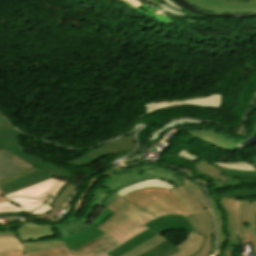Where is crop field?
I'll return each mask as SVG.
<instances>
[{
	"label": "crop field",
	"instance_id": "crop-field-21",
	"mask_svg": "<svg viewBox=\"0 0 256 256\" xmlns=\"http://www.w3.org/2000/svg\"><path fill=\"white\" fill-rule=\"evenodd\" d=\"M197 180H199V179H197ZM199 181L206 185L207 190L209 192V188L207 186V182L206 181H202V180H199ZM209 195H210V192H209ZM210 202H211V205H212L215 217L217 219V224H218V245H217V255H218L220 250H221V248H222V246L225 244L227 238H226V236H225V234L223 232V215H222V212L218 208L216 202L212 199L211 195H210Z\"/></svg>",
	"mask_w": 256,
	"mask_h": 256
},
{
	"label": "crop field",
	"instance_id": "crop-field-5",
	"mask_svg": "<svg viewBox=\"0 0 256 256\" xmlns=\"http://www.w3.org/2000/svg\"><path fill=\"white\" fill-rule=\"evenodd\" d=\"M15 231L23 245L24 253L64 245L53 226H40L24 222L23 227L17 228Z\"/></svg>",
	"mask_w": 256,
	"mask_h": 256
},
{
	"label": "crop field",
	"instance_id": "crop-field-35",
	"mask_svg": "<svg viewBox=\"0 0 256 256\" xmlns=\"http://www.w3.org/2000/svg\"><path fill=\"white\" fill-rule=\"evenodd\" d=\"M11 250H23L21 245H0V252Z\"/></svg>",
	"mask_w": 256,
	"mask_h": 256
},
{
	"label": "crop field",
	"instance_id": "crop-field-39",
	"mask_svg": "<svg viewBox=\"0 0 256 256\" xmlns=\"http://www.w3.org/2000/svg\"><path fill=\"white\" fill-rule=\"evenodd\" d=\"M163 2H164L166 5H168V6L172 7V8H174V9H177V10H179V11L182 9V7H180L179 5H177L176 3H174L172 0H163Z\"/></svg>",
	"mask_w": 256,
	"mask_h": 256
},
{
	"label": "crop field",
	"instance_id": "crop-field-38",
	"mask_svg": "<svg viewBox=\"0 0 256 256\" xmlns=\"http://www.w3.org/2000/svg\"><path fill=\"white\" fill-rule=\"evenodd\" d=\"M87 178H88V177H87ZM85 181H86V180H85ZM85 181H84V183H85ZM84 183L81 185V187L78 189V191L76 192V194L73 196V198H72L71 201L69 202L70 207H69L67 213L64 214V217H66V215H67L68 213H70L71 205H72V203L74 202V200L78 197V195H79V193H80V191H81V189H82ZM66 208H67V207H66Z\"/></svg>",
	"mask_w": 256,
	"mask_h": 256
},
{
	"label": "crop field",
	"instance_id": "crop-field-24",
	"mask_svg": "<svg viewBox=\"0 0 256 256\" xmlns=\"http://www.w3.org/2000/svg\"><path fill=\"white\" fill-rule=\"evenodd\" d=\"M163 241H165V239L158 235L157 237L146 242L145 244L141 245L140 247L134 249L133 251L129 252L128 254H126L124 256H139L142 253L146 252L147 250L153 248L154 246L158 245L159 243H161Z\"/></svg>",
	"mask_w": 256,
	"mask_h": 256
},
{
	"label": "crop field",
	"instance_id": "crop-field-28",
	"mask_svg": "<svg viewBox=\"0 0 256 256\" xmlns=\"http://www.w3.org/2000/svg\"><path fill=\"white\" fill-rule=\"evenodd\" d=\"M22 133L16 131L14 128L0 127V137L16 140L18 145V138Z\"/></svg>",
	"mask_w": 256,
	"mask_h": 256
},
{
	"label": "crop field",
	"instance_id": "crop-field-44",
	"mask_svg": "<svg viewBox=\"0 0 256 256\" xmlns=\"http://www.w3.org/2000/svg\"><path fill=\"white\" fill-rule=\"evenodd\" d=\"M0 202H7V200H5L3 196H0Z\"/></svg>",
	"mask_w": 256,
	"mask_h": 256
},
{
	"label": "crop field",
	"instance_id": "crop-field-33",
	"mask_svg": "<svg viewBox=\"0 0 256 256\" xmlns=\"http://www.w3.org/2000/svg\"><path fill=\"white\" fill-rule=\"evenodd\" d=\"M112 1V0H111ZM126 7H128L130 10L136 8L137 6L143 4L139 0H120Z\"/></svg>",
	"mask_w": 256,
	"mask_h": 256
},
{
	"label": "crop field",
	"instance_id": "crop-field-31",
	"mask_svg": "<svg viewBox=\"0 0 256 256\" xmlns=\"http://www.w3.org/2000/svg\"><path fill=\"white\" fill-rule=\"evenodd\" d=\"M177 156H179V157H181V158H183V159H185V160H187V161H189L191 163H193L194 161H196L198 159H201L200 157H198V156H196V155H194V154H192V153H190V152H188V151H186L184 149H182L177 154Z\"/></svg>",
	"mask_w": 256,
	"mask_h": 256
},
{
	"label": "crop field",
	"instance_id": "crop-field-8",
	"mask_svg": "<svg viewBox=\"0 0 256 256\" xmlns=\"http://www.w3.org/2000/svg\"><path fill=\"white\" fill-rule=\"evenodd\" d=\"M191 6L210 13L251 14L256 12V0L251 4L236 3V0H185Z\"/></svg>",
	"mask_w": 256,
	"mask_h": 256
},
{
	"label": "crop field",
	"instance_id": "crop-field-17",
	"mask_svg": "<svg viewBox=\"0 0 256 256\" xmlns=\"http://www.w3.org/2000/svg\"><path fill=\"white\" fill-rule=\"evenodd\" d=\"M158 234L146 229L139 233L138 235L134 236L130 240L123 243L121 246L115 248L114 250L106 253L109 256H123L124 254L128 253L129 251L133 250L134 248L140 246L141 244L145 243L146 241L152 239L153 237L157 236ZM141 241V243H139Z\"/></svg>",
	"mask_w": 256,
	"mask_h": 256
},
{
	"label": "crop field",
	"instance_id": "crop-field-45",
	"mask_svg": "<svg viewBox=\"0 0 256 256\" xmlns=\"http://www.w3.org/2000/svg\"><path fill=\"white\" fill-rule=\"evenodd\" d=\"M252 165L256 168V163H253Z\"/></svg>",
	"mask_w": 256,
	"mask_h": 256
},
{
	"label": "crop field",
	"instance_id": "crop-field-11",
	"mask_svg": "<svg viewBox=\"0 0 256 256\" xmlns=\"http://www.w3.org/2000/svg\"><path fill=\"white\" fill-rule=\"evenodd\" d=\"M117 244L119 243L103 234L70 250V253L73 256H106L104 254Z\"/></svg>",
	"mask_w": 256,
	"mask_h": 256
},
{
	"label": "crop field",
	"instance_id": "crop-field-29",
	"mask_svg": "<svg viewBox=\"0 0 256 256\" xmlns=\"http://www.w3.org/2000/svg\"><path fill=\"white\" fill-rule=\"evenodd\" d=\"M219 168V167H217ZM224 174L228 177L239 178V176L245 177H256V172H247V171H237V170H227L224 168H219Z\"/></svg>",
	"mask_w": 256,
	"mask_h": 256
},
{
	"label": "crop field",
	"instance_id": "crop-field-19",
	"mask_svg": "<svg viewBox=\"0 0 256 256\" xmlns=\"http://www.w3.org/2000/svg\"><path fill=\"white\" fill-rule=\"evenodd\" d=\"M77 185L68 183L63 190L56 196L51 206L53 209L45 215H36L35 219H50L56 216V212L61 210L64 204L67 202L71 194L75 191Z\"/></svg>",
	"mask_w": 256,
	"mask_h": 256
},
{
	"label": "crop field",
	"instance_id": "crop-field-16",
	"mask_svg": "<svg viewBox=\"0 0 256 256\" xmlns=\"http://www.w3.org/2000/svg\"><path fill=\"white\" fill-rule=\"evenodd\" d=\"M47 199L48 198L43 200H32L23 197L7 199L9 202L0 203V212H28L43 204Z\"/></svg>",
	"mask_w": 256,
	"mask_h": 256
},
{
	"label": "crop field",
	"instance_id": "crop-field-23",
	"mask_svg": "<svg viewBox=\"0 0 256 256\" xmlns=\"http://www.w3.org/2000/svg\"><path fill=\"white\" fill-rule=\"evenodd\" d=\"M180 250L176 249L171 243L167 240L160 245L154 247L148 252L142 254L141 256H170Z\"/></svg>",
	"mask_w": 256,
	"mask_h": 256
},
{
	"label": "crop field",
	"instance_id": "crop-field-36",
	"mask_svg": "<svg viewBox=\"0 0 256 256\" xmlns=\"http://www.w3.org/2000/svg\"><path fill=\"white\" fill-rule=\"evenodd\" d=\"M241 184H245V183H242L240 181V179L229 178L227 180V182L225 183V185L223 184L224 186L221 187V188H224V187H227V186H236V185H241Z\"/></svg>",
	"mask_w": 256,
	"mask_h": 256
},
{
	"label": "crop field",
	"instance_id": "crop-field-7",
	"mask_svg": "<svg viewBox=\"0 0 256 256\" xmlns=\"http://www.w3.org/2000/svg\"><path fill=\"white\" fill-rule=\"evenodd\" d=\"M169 191L187 208L191 214L209 210L204 192L191 180Z\"/></svg>",
	"mask_w": 256,
	"mask_h": 256
},
{
	"label": "crop field",
	"instance_id": "crop-field-2",
	"mask_svg": "<svg viewBox=\"0 0 256 256\" xmlns=\"http://www.w3.org/2000/svg\"><path fill=\"white\" fill-rule=\"evenodd\" d=\"M256 196V189L239 190L224 193L219 197V203L227 212L228 240L233 245H241L244 240L253 242L256 254V201H239L236 198Z\"/></svg>",
	"mask_w": 256,
	"mask_h": 256
},
{
	"label": "crop field",
	"instance_id": "crop-field-12",
	"mask_svg": "<svg viewBox=\"0 0 256 256\" xmlns=\"http://www.w3.org/2000/svg\"><path fill=\"white\" fill-rule=\"evenodd\" d=\"M148 229L155 231L157 233H164L169 230H184L193 232L192 227L189 222L182 215H168L160 218H156L153 221H150L144 224Z\"/></svg>",
	"mask_w": 256,
	"mask_h": 256
},
{
	"label": "crop field",
	"instance_id": "crop-field-37",
	"mask_svg": "<svg viewBox=\"0 0 256 256\" xmlns=\"http://www.w3.org/2000/svg\"><path fill=\"white\" fill-rule=\"evenodd\" d=\"M232 246V245H231ZM230 244H227V247L225 250H222L219 256H232L233 253V247H231Z\"/></svg>",
	"mask_w": 256,
	"mask_h": 256
},
{
	"label": "crop field",
	"instance_id": "crop-field-40",
	"mask_svg": "<svg viewBox=\"0 0 256 256\" xmlns=\"http://www.w3.org/2000/svg\"><path fill=\"white\" fill-rule=\"evenodd\" d=\"M23 251H11V252H3L0 253V256H12V255H18L22 254Z\"/></svg>",
	"mask_w": 256,
	"mask_h": 256
},
{
	"label": "crop field",
	"instance_id": "crop-field-20",
	"mask_svg": "<svg viewBox=\"0 0 256 256\" xmlns=\"http://www.w3.org/2000/svg\"><path fill=\"white\" fill-rule=\"evenodd\" d=\"M103 234L102 232L96 230L95 228L88 227L72 236H69L65 239H63L64 244L67 246L68 250L86 242L89 241L99 235Z\"/></svg>",
	"mask_w": 256,
	"mask_h": 256
},
{
	"label": "crop field",
	"instance_id": "crop-field-22",
	"mask_svg": "<svg viewBox=\"0 0 256 256\" xmlns=\"http://www.w3.org/2000/svg\"><path fill=\"white\" fill-rule=\"evenodd\" d=\"M54 227L62 239L85 227H88V225L78 219L70 217L69 220L66 221V223Z\"/></svg>",
	"mask_w": 256,
	"mask_h": 256
},
{
	"label": "crop field",
	"instance_id": "crop-field-14",
	"mask_svg": "<svg viewBox=\"0 0 256 256\" xmlns=\"http://www.w3.org/2000/svg\"><path fill=\"white\" fill-rule=\"evenodd\" d=\"M192 172L196 175V177H203L205 179L214 181V191L219 190L221 186L226 182L227 176H225L220 170H218L215 166L209 165L203 160L193 164Z\"/></svg>",
	"mask_w": 256,
	"mask_h": 256
},
{
	"label": "crop field",
	"instance_id": "crop-field-30",
	"mask_svg": "<svg viewBox=\"0 0 256 256\" xmlns=\"http://www.w3.org/2000/svg\"><path fill=\"white\" fill-rule=\"evenodd\" d=\"M37 170H39V169L32 167V168H30V169H28V170H25V171H23V172H21V173H19V174H16V175H14V176H12V177H9V178H7V179L1 180V181H0V185L6 184V183H8V182H11V181H13V180H15V179H18V178H20V177H23V176H25V175H28V174H30V173H33V172H35V171H37Z\"/></svg>",
	"mask_w": 256,
	"mask_h": 256
},
{
	"label": "crop field",
	"instance_id": "crop-field-10",
	"mask_svg": "<svg viewBox=\"0 0 256 256\" xmlns=\"http://www.w3.org/2000/svg\"><path fill=\"white\" fill-rule=\"evenodd\" d=\"M196 233L205 235V243L202 248L193 256H208L212 254L213 227L209 211L186 216ZM185 218V219H186Z\"/></svg>",
	"mask_w": 256,
	"mask_h": 256
},
{
	"label": "crop field",
	"instance_id": "crop-field-1",
	"mask_svg": "<svg viewBox=\"0 0 256 256\" xmlns=\"http://www.w3.org/2000/svg\"><path fill=\"white\" fill-rule=\"evenodd\" d=\"M148 169H150V171H148ZM139 170H143L144 174L139 176ZM103 177H108V180L104 182L101 186L104 187L109 192L105 193L101 189L95 192L94 202L92 201V206L82 219V221L84 222L87 221V219L90 217V215L93 213V211L96 209L98 205L107 208L116 195L115 193L111 192L116 191L117 189L125 185L148 178H158L166 180L176 186L190 180L171 169L151 166H140L130 169H124L120 168L119 165H117L114 168L109 169L108 172L100 174L91 180V182L88 185V189L75 204V212H73L72 214L73 217H77L84 203L83 201L93 191V189L97 186V184L101 181Z\"/></svg>",
	"mask_w": 256,
	"mask_h": 256
},
{
	"label": "crop field",
	"instance_id": "crop-field-9",
	"mask_svg": "<svg viewBox=\"0 0 256 256\" xmlns=\"http://www.w3.org/2000/svg\"><path fill=\"white\" fill-rule=\"evenodd\" d=\"M0 148H3L5 150H8V151L14 153V155L26 160L31 165L47 172L48 174H50L52 176L63 177V178H72L73 177L71 172H67V171L60 169L52 164L45 163L42 160L23 152L18 147L16 141L0 138Z\"/></svg>",
	"mask_w": 256,
	"mask_h": 256
},
{
	"label": "crop field",
	"instance_id": "crop-field-46",
	"mask_svg": "<svg viewBox=\"0 0 256 256\" xmlns=\"http://www.w3.org/2000/svg\"><path fill=\"white\" fill-rule=\"evenodd\" d=\"M1 195V194H0Z\"/></svg>",
	"mask_w": 256,
	"mask_h": 256
},
{
	"label": "crop field",
	"instance_id": "crop-field-41",
	"mask_svg": "<svg viewBox=\"0 0 256 256\" xmlns=\"http://www.w3.org/2000/svg\"><path fill=\"white\" fill-rule=\"evenodd\" d=\"M0 126L11 127L1 115H0Z\"/></svg>",
	"mask_w": 256,
	"mask_h": 256
},
{
	"label": "crop field",
	"instance_id": "crop-field-3",
	"mask_svg": "<svg viewBox=\"0 0 256 256\" xmlns=\"http://www.w3.org/2000/svg\"><path fill=\"white\" fill-rule=\"evenodd\" d=\"M108 208L116 212L97 228L120 243L145 229L142 225L154 219L118 196L115 197Z\"/></svg>",
	"mask_w": 256,
	"mask_h": 256
},
{
	"label": "crop field",
	"instance_id": "crop-field-13",
	"mask_svg": "<svg viewBox=\"0 0 256 256\" xmlns=\"http://www.w3.org/2000/svg\"><path fill=\"white\" fill-rule=\"evenodd\" d=\"M32 167L3 149L0 150V180Z\"/></svg>",
	"mask_w": 256,
	"mask_h": 256
},
{
	"label": "crop field",
	"instance_id": "crop-field-18",
	"mask_svg": "<svg viewBox=\"0 0 256 256\" xmlns=\"http://www.w3.org/2000/svg\"><path fill=\"white\" fill-rule=\"evenodd\" d=\"M204 236L188 233L185 240L175 246L181 251L172 256H191L195 254L203 245Z\"/></svg>",
	"mask_w": 256,
	"mask_h": 256
},
{
	"label": "crop field",
	"instance_id": "crop-field-25",
	"mask_svg": "<svg viewBox=\"0 0 256 256\" xmlns=\"http://www.w3.org/2000/svg\"><path fill=\"white\" fill-rule=\"evenodd\" d=\"M19 256H71L70 253L67 251L66 247H58L48 250H43L31 254H23Z\"/></svg>",
	"mask_w": 256,
	"mask_h": 256
},
{
	"label": "crop field",
	"instance_id": "crop-field-42",
	"mask_svg": "<svg viewBox=\"0 0 256 256\" xmlns=\"http://www.w3.org/2000/svg\"><path fill=\"white\" fill-rule=\"evenodd\" d=\"M59 221H62V219H60V218H57V219L51 220V221H49V222H46V223H51V222H59Z\"/></svg>",
	"mask_w": 256,
	"mask_h": 256
},
{
	"label": "crop field",
	"instance_id": "crop-field-32",
	"mask_svg": "<svg viewBox=\"0 0 256 256\" xmlns=\"http://www.w3.org/2000/svg\"><path fill=\"white\" fill-rule=\"evenodd\" d=\"M113 213L114 211L110 209H105L104 212L99 216V218L94 222L92 226L96 228L99 224H101L105 219H107Z\"/></svg>",
	"mask_w": 256,
	"mask_h": 256
},
{
	"label": "crop field",
	"instance_id": "crop-field-15",
	"mask_svg": "<svg viewBox=\"0 0 256 256\" xmlns=\"http://www.w3.org/2000/svg\"><path fill=\"white\" fill-rule=\"evenodd\" d=\"M50 177H52V176L39 170L34 174H30V175L20 178L16 181H13L6 185L0 186V190L4 195H6L9 193L21 190L23 188H26L28 186L34 185L36 183H39L41 181H44Z\"/></svg>",
	"mask_w": 256,
	"mask_h": 256
},
{
	"label": "crop field",
	"instance_id": "crop-field-26",
	"mask_svg": "<svg viewBox=\"0 0 256 256\" xmlns=\"http://www.w3.org/2000/svg\"><path fill=\"white\" fill-rule=\"evenodd\" d=\"M134 10L138 11V12L141 13L142 15H144V16H146V17H148V18H150V19H152V20H154V21H157V22H159V23H163V24L170 25V24H168L169 21H170V22L172 21L173 23L175 22L174 20L167 19V18H165V17H163V16H159V15H157V14L151 12V9L148 8L147 6H145L144 4L141 5V6H139V7H137V8L134 9ZM172 25H173V24H172ZM172 25H171V26H172Z\"/></svg>",
	"mask_w": 256,
	"mask_h": 256
},
{
	"label": "crop field",
	"instance_id": "crop-field-4",
	"mask_svg": "<svg viewBox=\"0 0 256 256\" xmlns=\"http://www.w3.org/2000/svg\"><path fill=\"white\" fill-rule=\"evenodd\" d=\"M126 199L153 216L167 214L190 215L186 208L169 192L162 189H143L127 195Z\"/></svg>",
	"mask_w": 256,
	"mask_h": 256
},
{
	"label": "crop field",
	"instance_id": "crop-field-34",
	"mask_svg": "<svg viewBox=\"0 0 256 256\" xmlns=\"http://www.w3.org/2000/svg\"><path fill=\"white\" fill-rule=\"evenodd\" d=\"M0 244H20L17 237H3L0 238Z\"/></svg>",
	"mask_w": 256,
	"mask_h": 256
},
{
	"label": "crop field",
	"instance_id": "crop-field-43",
	"mask_svg": "<svg viewBox=\"0 0 256 256\" xmlns=\"http://www.w3.org/2000/svg\"><path fill=\"white\" fill-rule=\"evenodd\" d=\"M237 2L250 3V0H237Z\"/></svg>",
	"mask_w": 256,
	"mask_h": 256
},
{
	"label": "crop field",
	"instance_id": "crop-field-6",
	"mask_svg": "<svg viewBox=\"0 0 256 256\" xmlns=\"http://www.w3.org/2000/svg\"><path fill=\"white\" fill-rule=\"evenodd\" d=\"M68 182L59 181L54 178H50L44 182L31 186L29 188L23 189L21 191L6 195L5 197H12V196H28L36 199L43 198L47 195L51 196L48 202L38 209H36L32 213H28L29 215L35 214H45L49 212L52 207H50V203L53 201L55 196L61 191V189L67 184Z\"/></svg>",
	"mask_w": 256,
	"mask_h": 256
},
{
	"label": "crop field",
	"instance_id": "crop-field-27",
	"mask_svg": "<svg viewBox=\"0 0 256 256\" xmlns=\"http://www.w3.org/2000/svg\"><path fill=\"white\" fill-rule=\"evenodd\" d=\"M221 167L228 169H238V170H247V171H256V169L250 164V162H235V163H218L212 162Z\"/></svg>",
	"mask_w": 256,
	"mask_h": 256
}]
</instances>
